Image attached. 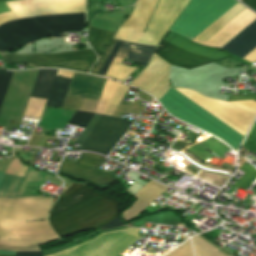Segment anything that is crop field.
I'll return each mask as SVG.
<instances>
[{"label": "crop field", "mask_w": 256, "mask_h": 256, "mask_svg": "<svg viewBox=\"0 0 256 256\" xmlns=\"http://www.w3.org/2000/svg\"><path fill=\"white\" fill-rule=\"evenodd\" d=\"M169 69L170 64L153 53L147 66L129 85L145 90L160 100L171 87L169 84ZM175 89L244 136L256 117V102L254 100L224 102L203 96L194 90ZM175 89L171 87L159 101L168 112L195 127L221 138L236 151L244 136Z\"/></svg>", "instance_id": "8a807250"}, {"label": "crop field", "mask_w": 256, "mask_h": 256, "mask_svg": "<svg viewBox=\"0 0 256 256\" xmlns=\"http://www.w3.org/2000/svg\"><path fill=\"white\" fill-rule=\"evenodd\" d=\"M3 175L0 173V182ZM44 175V172L36 171L33 167L29 168L25 178L5 174L0 195L22 196L27 185L39 186ZM9 196H0V250L40 251L38 245L59 240L48 220L26 223L47 219L54 199ZM7 251H0V254L15 253Z\"/></svg>", "instance_id": "ac0d7876"}, {"label": "crop field", "mask_w": 256, "mask_h": 256, "mask_svg": "<svg viewBox=\"0 0 256 256\" xmlns=\"http://www.w3.org/2000/svg\"><path fill=\"white\" fill-rule=\"evenodd\" d=\"M86 0H17L7 2L12 12L0 14V25L33 17L65 16L85 13ZM85 14L65 17L33 18L0 26V52L26 45L43 37H59L60 31H82Z\"/></svg>", "instance_id": "34b2d1b8"}, {"label": "crop field", "mask_w": 256, "mask_h": 256, "mask_svg": "<svg viewBox=\"0 0 256 256\" xmlns=\"http://www.w3.org/2000/svg\"><path fill=\"white\" fill-rule=\"evenodd\" d=\"M155 47L135 45L123 42L116 57L127 58L146 65ZM172 65L191 69L197 66L231 57L215 49L200 46L168 31L155 52ZM160 57V58H161ZM115 58L106 76L124 82L135 70V67L122 65L123 59Z\"/></svg>", "instance_id": "412701ff"}, {"label": "crop field", "mask_w": 256, "mask_h": 256, "mask_svg": "<svg viewBox=\"0 0 256 256\" xmlns=\"http://www.w3.org/2000/svg\"><path fill=\"white\" fill-rule=\"evenodd\" d=\"M99 194L80 185L77 183H73L65 193L59 197L57 200L51 214L50 218L59 217L61 215L71 213L89 201L97 197ZM119 207V203L114 199L101 194L90 203L82 207L81 209L71 213L64 215L59 218L49 220L51 225L53 226L56 233L63 231L67 228L80 224L84 221L92 219L96 216L109 212L113 209ZM120 208L113 210L109 213L96 217L92 220L84 222L80 225L67 229L63 232L58 233L59 237H66L75 232L97 229L107 222L111 221L115 217L119 216Z\"/></svg>", "instance_id": "f4fd0767"}, {"label": "crop field", "mask_w": 256, "mask_h": 256, "mask_svg": "<svg viewBox=\"0 0 256 256\" xmlns=\"http://www.w3.org/2000/svg\"><path fill=\"white\" fill-rule=\"evenodd\" d=\"M158 0H138L131 16L119 27L114 38L138 43ZM190 0H159L149 25L138 44L157 46Z\"/></svg>", "instance_id": "dd49c442"}, {"label": "crop field", "mask_w": 256, "mask_h": 256, "mask_svg": "<svg viewBox=\"0 0 256 256\" xmlns=\"http://www.w3.org/2000/svg\"><path fill=\"white\" fill-rule=\"evenodd\" d=\"M237 0H192L171 31L193 40Z\"/></svg>", "instance_id": "e52e79f7"}, {"label": "crop field", "mask_w": 256, "mask_h": 256, "mask_svg": "<svg viewBox=\"0 0 256 256\" xmlns=\"http://www.w3.org/2000/svg\"><path fill=\"white\" fill-rule=\"evenodd\" d=\"M132 122L94 114L77 141L82 142L79 150H89L108 155L125 134Z\"/></svg>", "instance_id": "d8731c3e"}, {"label": "crop field", "mask_w": 256, "mask_h": 256, "mask_svg": "<svg viewBox=\"0 0 256 256\" xmlns=\"http://www.w3.org/2000/svg\"><path fill=\"white\" fill-rule=\"evenodd\" d=\"M139 230L124 227L106 231L84 245L69 247L49 256H117L141 238Z\"/></svg>", "instance_id": "5a996713"}, {"label": "crop field", "mask_w": 256, "mask_h": 256, "mask_svg": "<svg viewBox=\"0 0 256 256\" xmlns=\"http://www.w3.org/2000/svg\"><path fill=\"white\" fill-rule=\"evenodd\" d=\"M242 5L238 2L229 11L222 15L216 22H214L209 28H207L198 37H196L194 41L201 44L206 42L210 37H212L221 28H223L232 19H234L237 15H239L243 10L246 9V7ZM255 19L256 14L252 13L247 8L203 45L221 48L225 43H227L230 39H232Z\"/></svg>", "instance_id": "3316defc"}, {"label": "crop field", "mask_w": 256, "mask_h": 256, "mask_svg": "<svg viewBox=\"0 0 256 256\" xmlns=\"http://www.w3.org/2000/svg\"><path fill=\"white\" fill-rule=\"evenodd\" d=\"M5 63H28L41 67L66 68L86 72L96 60L92 50L40 55V54H9L2 56Z\"/></svg>", "instance_id": "28ad6ade"}, {"label": "crop field", "mask_w": 256, "mask_h": 256, "mask_svg": "<svg viewBox=\"0 0 256 256\" xmlns=\"http://www.w3.org/2000/svg\"><path fill=\"white\" fill-rule=\"evenodd\" d=\"M102 159L96 154L81 153L76 163L63 160L57 173L85 181L102 192L118 180L115 175L98 169Z\"/></svg>", "instance_id": "d1516ede"}, {"label": "crop field", "mask_w": 256, "mask_h": 256, "mask_svg": "<svg viewBox=\"0 0 256 256\" xmlns=\"http://www.w3.org/2000/svg\"><path fill=\"white\" fill-rule=\"evenodd\" d=\"M57 70H40L30 96L47 98ZM71 79L55 77L45 105L63 106Z\"/></svg>", "instance_id": "22f410ed"}, {"label": "crop field", "mask_w": 256, "mask_h": 256, "mask_svg": "<svg viewBox=\"0 0 256 256\" xmlns=\"http://www.w3.org/2000/svg\"><path fill=\"white\" fill-rule=\"evenodd\" d=\"M104 78L75 73L67 95L91 100H99Z\"/></svg>", "instance_id": "cbeb9de0"}, {"label": "crop field", "mask_w": 256, "mask_h": 256, "mask_svg": "<svg viewBox=\"0 0 256 256\" xmlns=\"http://www.w3.org/2000/svg\"><path fill=\"white\" fill-rule=\"evenodd\" d=\"M256 46V20L234 37L223 48L228 52L243 57Z\"/></svg>", "instance_id": "5142ce71"}, {"label": "crop field", "mask_w": 256, "mask_h": 256, "mask_svg": "<svg viewBox=\"0 0 256 256\" xmlns=\"http://www.w3.org/2000/svg\"><path fill=\"white\" fill-rule=\"evenodd\" d=\"M113 35V32L89 27L88 41L95 52L98 54V57L108 45Z\"/></svg>", "instance_id": "d9b57169"}, {"label": "crop field", "mask_w": 256, "mask_h": 256, "mask_svg": "<svg viewBox=\"0 0 256 256\" xmlns=\"http://www.w3.org/2000/svg\"><path fill=\"white\" fill-rule=\"evenodd\" d=\"M117 84H118L117 82H114L108 79L106 80V83H105V86H104V89L95 113H99V114L104 113Z\"/></svg>", "instance_id": "733c2abd"}, {"label": "crop field", "mask_w": 256, "mask_h": 256, "mask_svg": "<svg viewBox=\"0 0 256 256\" xmlns=\"http://www.w3.org/2000/svg\"><path fill=\"white\" fill-rule=\"evenodd\" d=\"M241 170L247 172L245 176L236 182L235 186L247 190L248 187L256 182V169L249 163L245 162Z\"/></svg>", "instance_id": "4a817a6b"}, {"label": "crop field", "mask_w": 256, "mask_h": 256, "mask_svg": "<svg viewBox=\"0 0 256 256\" xmlns=\"http://www.w3.org/2000/svg\"><path fill=\"white\" fill-rule=\"evenodd\" d=\"M128 89L129 87H126L120 83L118 84L104 114L112 116V114L114 113L115 109L119 105L120 101L122 100Z\"/></svg>", "instance_id": "bc2a9ffb"}, {"label": "crop field", "mask_w": 256, "mask_h": 256, "mask_svg": "<svg viewBox=\"0 0 256 256\" xmlns=\"http://www.w3.org/2000/svg\"><path fill=\"white\" fill-rule=\"evenodd\" d=\"M45 101L46 100L44 99L31 97L24 116L39 118L42 113Z\"/></svg>", "instance_id": "214f88e0"}, {"label": "crop field", "mask_w": 256, "mask_h": 256, "mask_svg": "<svg viewBox=\"0 0 256 256\" xmlns=\"http://www.w3.org/2000/svg\"><path fill=\"white\" fill-rule=\"evenodd\" d=\"M92 116H93V114H91V113L76 111V113L74 114V116L71 119V121L69 122V124L84 128Z\"/></svg>", "instance_id": "92a150f3"}, {"label": "crop field", "mask_w": 256, "mask_h": 256, "mask_svg": "<svg viewBox=\"0 0 256 256\" xmlns=\"http://www.w3.org/2000/svg\"><path fill=\"white\" fill-rule=\"evenodd\" d=\"M13 72L0 71V107Z\"/></svg>", "instance_id": "dafd665d"}, {"label": "crop field", "mask_w": 256, "mask_h": 256, "mask_svg": "<svg viewBox=\"0 0 256 256\" xmlns=\"http://www.w3.org/2000/svg\"><path fill=\"white\" fill-rule=\"evenodd\" d=\"M28 167L24 166L17 158L9 164V167L6 171L7 174L24 176Z\"/></svg>", "instance_id": "00972430"}, {"label": "crop field", "mask_w": 256, "mask_h": 256, "mask_svg": "<svg viewBox=\"0 0 256 256\" xmlns=\"http://www.w3.org/2000/svg\"><path fill=\"white\" fill-rule=\"evenodd\" d=\"M243 146L248 151L256 152V124L253 125Z\"/></svg>", "instance_id": "a9b5d70f"}, {"label": "crop field", "mask_w": 256, "mask_h": 256, "mask_svg": "<svg viewBox=\"0 0 256 256\" xmlns=\"http://www.w3.org/2000/svg\"><path fill=\"white\" fill-rule=\"evenodd\" d=\"M121 44H122V41L116 40V42H115V44H114V46H113V48H112V50H111V52H110V54L107 58L105 64L103 65V67H102V69L99 73V75L105 76V74H106V72H107V70H108L116 52L118 51L119 47L121 46Z\"/></svg>", "instance_id": "4177f3b9"}, {"label": "crop field", "mask_w": 256, "mask_h": 256, "mask_svg": "<svg viewBox=\"0 0 256 256\" xmlns=\"http://www.w3.org/2000/svg\"><path fill=\"white\" fill-rule=\"evenodd\" d=\"M115 40L112 39V41L110 42V44L108 45L107 49L104 51L102 57L98 60V62L96 63V65L92 68V70L90 71V73L92 74H96L98 75L110 49L112 48L113 44H114Z\"/></svg>", "instance_id": "730fd06b"}, {"label": "crop field", "mask_w": 256, "mask_h": 256, "mask_svg": "<svg viewBox=\"0 0 256 256\" xmlns=\"http://www.w3.org/2000/svg\"><path fill=\"white\" fill-rule=\"evenodd\" d=\"M247 99H256V94L229 96V98H228L227 101H233V100H247Z\"/></svg>", "instance_id": "eef30255"}, {"label": "crop field", "mask_w": 256, "mask_h": 256, "mask_svg": "<svg viewBox=\"0 0 256 256\" xmlns=\"http://www.w3.org/2000/svg\"><path fill=\"white\" fill-rule=\"evenodd\" d=\"M121 225H125L124 223H122L119 220V217H117L116 219L112 220L111 222L107 223L104 227L100 228V230L103 229H108V228H113V227H119Z\"/></svg>", "instance_id": "ae1a2a85"}, {"label": "crop field", "mask_w": 256, "mask_h": 256, "mask_svg": "<svg viewBox=\"0 0 256 256\" xmlns=\"http://www.w3.org/2000/svg\"><path fill=\"white\" fill-rule=\"evenodd\" d=\"M15 256H43L42 252H16Z\"/></svg>", "instance_id": "d3111659"}, {"label": "crop field", "mask_w": 256, "mask_h": 256, "mask_svg": "<svg viewBox=\"0 0 256 256\" xmlns=\"http://www.w3.org/2000/svg\"><path fill=\"white\" fill-rule=\"evenodd\" d=\"M12 1V0H0V13L10 11L4 2Z\"/></svg>", "instance_id": "750c4746"}, {"label": "crop field", "mask_w": 256, "mask_h": 256, "mask_svg": "<svg viewBox=\"0 0 256 256\" xmlns=\"http://www.w3.org/2000/svg\"><path fill=\"white\" fill-rule=\"evenodd\" d=\"M73 74L74 73H72V72H66V71H61V70H58V73H57V75H59V76L69 77V78H72Z\"/></svg>", "instance_id": "bd1437ed"}, {"label": "crop field", "mask_w": 256, "mask_h": 256, "mask_svg": "<svg viewBox=\"0 0 256 256\" xmlns=\"http://www.w3.org/2000/svg\"><path fill=\"white\" fill-rule=\"evenodd\" d=\"M246 3L248 6L256 10V0H241Z\"/></svg>", "instance_id": "1d83c4d3"}, {"label": "crop field", "mask_w": 256, "mask_h": 256, "mask_svg": "<svg viewBox=\"0 0 256 256\" xmlns=\"http://www.w3.org/2000/svg\"><path fill=\"white\" fill-rule=\"evenodd\" d=\"M217 251H219V252H221L222 254H224V255H226L224 252H222L220 249H216ZM226 256H228V255H226Z\"/></svg>", "instance_id": "120bbe31"}, {"label": "crop field", "mask_w": 256, "mask_h": 256, "mask_svg": "<svg viewBox=\"0 0 256 256\" xmlns=\"http://www.w3.org/2000/svg\"><path fill=\"white\" fill-rule=\"evenodd\" d=\"M255 123H256V121H255Z\"/></svg>", "instance_id": "d32e631a"}]
</instances>
